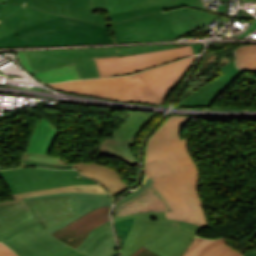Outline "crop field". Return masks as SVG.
<instances>
[{
    "instance_id": "8a807250",
    "label": "crop field",
    "mask_w": 256,
    "mask_h": 256,
    "mask_svg": "<svg viewBox=\"0 0 256 256\" xmlns=\"http://www.w3.org/2000/svg\"><path fill=\"white\" fill-rule=\"evenodd\" d=\"M189 120L190 117L170 116L152 135L144 169L173 209L165 212L167 218L210 227L199 196L200 173L188 153V139L180 136L182 126Z\"/></svg>"
},
{
    "instance_id": "ac0d7876",
    "label": "crop field",
    "mask_w": 256,
    "mask_h": 256,
    "mask_svg": "<svg viewBox=\"0 0 256 256\" xmlns=\"http://www.w3.org/2000/svg\"><path fill=\"white\" fill-rule=\"evenodd\" d=\"M107 43H115L108 25L100 26L59 16L1 38L0 48Z\"/></svg>"
},
{
    "instance_id": "34b2d1b8",
    "label": "crop field",
    "mask_w": 256,
    "mask_h": 256,
    "mask_svg": "<svg viewBox=\"0 0 256 256\" xmlns=\"http://www.w3.org/2000/svg\"><path fill=\"white\" fill-rule=\"evenodd\" d=\"M132 217L137 218L121 249L122 256H131L142 246L161 256H180L200 228L166 219L164 212L125 216L113 221Z\"/></svg>"
},
{
    "instance_id": "412701ff",
    "label": "crop field",
    "mask_w": 256,
    "mask_h": 256,
    "mask_svg": "<svg viewBox=\"0 0 256 256\" xmlns=\"http://www.w3.org/2000/svg\"><path fill=\"white\" fill-rule=\"evenodd\" d=\"M185 45L25 51L33 72L74 63L81 79L100 77L94 58L139 54Z\"/></svg>"
},
{
    "instance_id": "f4fd0767",
    "label": "crop field",
    "mask_w": 256,
    "mask_h": 256,
    "mask_svg": "<svg viewBox=\"0 0 256 256\" xmlns=\"http://www.w3.org/2000/svg\"><path fill=\"white\" fill-rule=\"evenodd\" d=\"M105 15L116 43L177 39L159 6Z\"/></svg>"
},
{
    "instance_id": "dd49c442",
    "label": "crop field",
    "mask_w": 256,
    "mask_h": 256,
    "mask_svg": "<svg viewBox=\"0 0 256 256\" xmlns=\"http://www.w3.org/2000/svg\"><path fill=\"white\" fill-rule=\"evenodd\" d=\"M50 86L58 90L118 101L147 104H160L163 101L137 74L127 77L51 84Z\"/></svg>"
},
{
    "instance_id": "e52e79f7",
    "label": "crop field",
    "mask_w": 256,
    "mask_h": 256,
    "mask_svg": "<svg viewBox=\"0 0 256 256\" xmlns=\"http://www.w3.org/2000/svg\"><path fill=\"white\" fill-rule=\"evenodd\" d=\"M12 194L81 184H98L75 170H50L42 168H21L0 171Z\"/></svg>"
},
{
    "instance_id": "d8731c3e",
    "label": "crop field",
    "mask_w": 256,
    "mask_h": 256,
    "mask_svg": "<svg viewBox=\"0 0 256 256\" xmlns=\"http://www.w3.org/2000/svg\"><path fill=\"white\" fill-rule=\"evenodd\" d=\"M192 46L157 52L95 59L101 77L128 75L193 55Z\"/></svg>"
},
{
    "instance_id": "5a996713",
    "label": "crop field",
    "mask_w": 256,
    "mask_h": 256,
    "mask_svg": "<svg viewBox=\"0 0 256 256\" xmlns=\"http://www.w3.org/2000/svg\"><path fill=\"white\" fill-rule=\"evenodd\" d=\"M1 241L18 256H45L67 246L52 237L39 222Z\"/></svg>"
},
{
    "instance_id": "3316defc",
    "label": "crop field",
    "mask_w": 256,
    "mask_h": 256,
    "mask_svg": "<svg viewBox=\"0 0 256 256\" xmlns=\"http://www.w3.org/2000/svg\"><path fill=\"white\" fill-rule=\"evenodd\" d=\"M7 3L30 6L52 14L71 17L100 25L107 24L104 13L92 14L90 0H8Z\"/></svg>"
},
{
    "instance_id": "28ad6ade",
    "label": "crop field",
    "mask_w": 256,
    "mask_h": 256,
    "mask_svg": "<svg viewBox=\"0 0 256 256\" xmlns=\"http://www.w3.org/2000/svg\"><path fill=\"white\" fill-rule=\"evenodd\" d=\"M218 70L224 74L188 95L178 107L210 106L230 83L244 72L235 67V58Z\"/></svg>"
},
{
    "instance_id": "d1516ede",
    "label": "crop field",
    "mask_w": 256,
    "mask_h": 256,
    "mask_svg": "<svg viewBox=\"0 0 256 256\" xmlns=\"http://www.w3.org/2000/svg\"><path fill=\"white\" fill-rule=\"evenodd\" d=\"M26 203L47 229L78 215L73 206L72 196L35 199Z\"/></svg>"
},
{
    "instance_id": "22f410ed",
    "label": "crop field",
    "mask_w": 256,
    "mask_h": 256,
    "mask_svg": "<svg viewBox=\"0 0 256 256\" xmlns=\"http://www.w3.org/2000/svg\"><path fill=\"white\" fill-rule=\"evenodd\" d=\"M109 207L91 211L64 228L52 233L62 242L77 248L95 227L109 220Z\"/></svg>"
},
{
    "instance_id": "cbeb9de0",
    "label": "crop field",
    "mask_w": 256,
    "mask_h": 256,
    "mask_svg": "<svg viewBox=\"0 0 256 256\" xmlns=\"http://www.w3.org/2000/svg\"><path fill=\"white\" fill-rule=\"evenodd\" d=\"M197 56L138 73V75L165 99Z\"/></svg>"
},
{
    "instance_id": "5142ce71",
    "label": "crop field",
    "mask_w": 256,
    "mask_h": 256,
    "mask_svg": "<svg viewBox=\"0 0 256 256\" xmlns=\"http://www.w3.org/2000/svg\"><path fill=\"white\" fill-rule=\"evenodd\" d=\"M30 7L7 4L0 10V38L19 28L56 17Z\"/></svg>"
},
{
    "instance_id": "d9b57169",
    "label": "crop field",
    "mask_w": 256,
    "mask_h": 256,
    "mask_svg": "<svg viewBox=\"0 0 256 256\" xmlns=\"http://www.w3.org/2000/svg\"><path fill=\"white\" fill-rule=\"evenodd\" d=\"M162 211H172V209L151 184L136 197L116 207L113 211V216L116 218L137 213Z\"/></svg>"
},
{
    "instance_id": "733c2abd",
    "label": "crop field",
    "mask_w": 256,
    "mask_h": 256,
    "mask_svg": "<svg viewBox=\"0 0 256 256\" xmlns=\"http://www.w3.org/2000/svg\"><path fill=\"white\" fill-rule=\"evenodd\" d=\"M73 166L85 176L91 177L102 183L112 194L130 187L122 180L123 178L118 173L104 166L94 163H78L73 164Z\"/></svg>"
},
{
    "instance_id": "4a817a6b",
    "label": "crop field",
    "mask_w": 256,
    "mask_h": 256,
    "mask_svg": "<svg viewBox=\"0 0 256 256\" xmlns=\"http://www.w3.org/2000/svg\"><path fill=\"white\" fill-rule=\"evenodd\" d=\"M56 135L57 127L42 117L34 130L27 152L48 154Z\"/></svg>"
},
{
    "instance_id": "bc2a9ffb",
    "label": "crop field",
    "mask_w": 256,
    "mask_h": 256,
    "mask_svg": "<svg viewBox=\"0 0 256 256\" xmlns=\"http://www.w3.org/2000/svg\"><path fill=\"white\" fill-rule=\"evenodd\" d=\"M57 195H73L74 205L79 212V214L91 207L93 210L108 205H111V196L110 194H93V193H80V192H70V193H54L46 194L31 198H26L25 200L43 198V197H52Z\"/></svg>"
},
{
    "instance_id": "214f88e0",
    "label": "crop field",
    "mask_w": 256,
    "mask_h": 256,
    "mask_svg": "<svg viewBox=\"0 0 256 256\" xmlns=\"http://www.w3.org/2000/svg\"><path fill=\"white\" fill-rule=\"evenodd\" d=\"M136 135L130 137L129 139L121 143L109 136L100 145L98 155H106L121 158L124 161L131 164L132 166L136 165L137 162L134 160L132 156V142Z\"/></svg>"
},
{
    "instance_id": "92a150f3",
    "label": "crop field",
    "mask_w": 256,
    "mask_h": 256,
    "mask_svg": "<svg viewBox=\"0 0 256 256\" xmlns=\"http://www.w3.org/2000/svg\"><path fill=\"white\" fill-rule=\"evenodd\" d=\"M18 53H19L21 64L30 72H32L25 52L18 51ZM34 75H36L43 82H46V83L80 79L73 64L48 70V71H44V72H40V73H36Z\"/></svg>"
},
{
    "instance_id": "dafd665d",
    "label": "crop field",
    "mask_w": 256,
    "mask_h": 256,
    "mask_svg": "<svg viewBox=\"0 0 256 256\" xmlns=\"http://www.w3.org/2000/svg\"><path fill=\"white\" fill-rule=\"evenodd\" d=\"M177 38L182 35L200 29V26L194 20L189 11L184 8L174 9L164 12ZM197 27V28H195Z\"/></svg>"
},
{
    "instance_id": "00972430",
    "label": "crop field",
    "mask_w": 256,
    "mask_h": 256,
    "mask_svg": "<svg viewBox=\"0 0 256 256\" xmlns=\"http://www.w3.org/2000/svg\"><path fill=\"white\" fill-rule=\"evenodd\" d=\"M126 115L128 118L124 126L110 135L120 142L138 133L152 116L151 114L138 112H127Z\"/></svg>"
},
{
    "instance_id": "a9b5d70f",
    "label": "crop field",
    "mask_w": 256,
    "mask_h": 256,
    "mask_svg": "<svg viewBox=\"0 0 256 256\" xmlns=\"http://www.w3.org/2000/svg\"><path fill=\"white\" fill-rule=\"evenodd\" d=\"M35 222H38V220L29 207L16 213L0 223V240L8 236L10 233Z\"/></svg>"
},
{
    "instance_id": "4177f3b9",
    "label": "crop field",
    "mask_w": 256,
    "mask_h": 256,
    "mask_svg": "<svg viewBox=\"0 0 256 256\" xmlns=\"http://www.w3.org/2000/svg\"><path fill=\"white\" fill-rule=\"evenodd\" d=\"M194 256H242L229 247L224 238L218 240L205 239Z\"/></svg>"
},
{
    "instance_id": "730fd06b",
    "label": "crop field",
    "mask_w": 256,
    "mask_h": 256,
    "mask_svg": "<svg viewBox=\"0 0 256 256\" xmlns=\"http://www.w3.org/2000/svg\"><path fill=\"white\" fill-rule=\"evenodd\" d=\"M69 191H81V192H93V193H108L102 185H81V186H64L22 194L12 195L13 199L26 198L46 193L53 192H69Z\"/></svg>"
},
{
    "instance_id": "eef30255",
    "label": "crop field",
    "mask_w": 256,
    "mask_h": 256,
    "mask_svg": "<svg viewBox=\"0 0 256 256\" xmlns=\"http://www.w3.org/2000/svg\"><path fill=\"white\" fill-rule=\"evenodd\" d=\"M112 235L111 224L110 222H107L95 228L89 237L77 249L89 254L101 242Z\"/></svg>"
},
{
    "instance_id": "ae1a2a85",
    "label": "crop field",
    "mask_w": 256,
    "mask_h": 256,
    "mask_svg": "<svg viewBox=\"0 0 256 256\" xmlns=\"http://www.w3.org/2000/svg\"><path fill=\"white\" fill-rule=\"evenodd\" d=\"M236 54L238 68L256 70V45L241 46Z\"/></svg>"
},
{
    "instance_id": "d3111659",
    "label": "crop field",
    "mask_w": 256,
    "mask_h": 256,
    "mask_svg": "<svg viewBox=\"0 0 256 256\" xmlns=\"http://www.w3.org/2000/svg\"><path fill=\"white\" fill-rule=\"evenodd\" d=\"M27 207L23 199L0 202V221Z\"/></svg>"
},
{
    "instance_id": "750c4746",
    "label": "crop field",
    "mask_w": 256,
    "mask_h": 256,
    "mask_svg": "<svg viewBox=\"0 0 256 256\" xmlns=\"http://www.w3.org/2000/svg\"><path fill=\"white\" fill-rule=\"evenodd\" d=\"M108 12H120L138 9L136 0H106Z\"/></svg>"
},
{
    "instance_id": "bd1437ed",
    "label": "crop field",
    "mask_w": 256,
    "mask_h": 256,
    "mask_svg": "<svg viewBox=\"0 0 256 256\" xmlns=\"http://www.w3.org/2000/svg\"><path fill=\"white\" fill-rule=\"evenodd\" d=\"M117 253V248L114 242V238L111 237L101 243L95 250L89 255L91 256H114Z\"/></svg>"
},
{
    "instance_id": "1d83c4d3",
    "label": "crop field",
    "mask_w": 256,
    "mask_h": 256,
    "mask_svg": "<svg viewBox=\"0 0 256 256\" xmlns=\"http://www.w3.org/2000/svg\"><path fill=\"white\" fill-rule=\"evenodd\" d=\"M134 220H135V218H132V219L113 223L116 238H117V241H118L120 247H122V244L129 232Z\"/></svg>"
},
{
    "instance_id": "120bbe31",
    "label": "crop field",
    "mask_w": 256,
    "mask_h": 256,
    "mask_svg": "<svg viewBox=\"0 0 256 256\" xmlns=\"http://www.w3.org/2000/svg\"><path fill=\"white\" fill-rule=\"evenodd\" d=\"M22 159L52 163V164L69 165L59 157H52V156H47L42 154L24 153Z\"/></svg>"
},
{
    "instance_id": "d32e631a",
    "label": "crop field",
    "mask_w": 256,
    "mask_h": 256,
    "mask_svg": "<svg viewBox=\"0 0 256 256\" xmlns=\"http://www.w3.org/2000/svg\"><path fill=\"white\" fill-rule=\"evenodd\" d=\"M173 1H174V4L161 6L162 10L166 11V10H170L178 7L188 6V7L198 8L206 11L201 0H173Z\"/></svg>"
},
{
    "instance_id": "5866460e",
    "label": "crop field",
    "mask_w": 256,
    "mask_h": 256,
    "mask_svg": "<svg viewBox=\"0 0 256 256\" xmlns=\"http://www.w3.org/2000/svg\"><path fill=\"white\" fill-rule=\"evenodd\" d=\"M187 9L193 15V17L198 22V24L201 26V28L206 26L212 20H214L217 17H219L218 15H214V14H211V13H208V12H204V11H201V10L192 9V8H188V7H187Z\"/></svg>"
},
{
    "instance_id": "028f5c9d",
    "label": "crop field",
    "mask_w": 256,
    "mask_h": 256,
    "mask_svg": "<svg viewBox=\"0 0 256 256\" xmlns=\"http://www.w3.org/2000/svg\"><path fill=\"white\" fill-rule=\"evenodd\" d=\"M137 1H138L139 9L173 3L172 0H137Z\"/></svg>"
},
{
    "instance_id": "e1f06a70",
    "label": "crop field",
    "mask_w": 256,
    "mask_h": 256,
    "mask_svg": "<svg viewBox=\"0 0 256 256\" xmlns=\"http://www.w3.org/2000/svg\"><path fill=\"white\" fill-rule=\"evenodd\" d=\"M48 256H87L81 252L76 251L75 249L67 246L51 255Z\"/></svg>"
},
{
    "instance_id": "0bd39190",
    "label": "crop field",
    "mask_w": 256,
    "mask_h": 256,
    "mask_svg": "<svg viewBox=\"0 0 256 256\" xmlns=\"http://www.w3.org/2000/svg\"><path fill=\"white\" fill-rule=\"evenodd\" d=\"M21 162L27 163L26 166L46 167V168H56V169H73L71 166L44 164V163H38V162H33V161H27V160H22Z\"/></svg>"
},
{
    "instance_id": "b80d0937",
    "label": "crop field",
    "mask_w": 256,
    "mask_h": 256,
    "mask_svg": "<svg viewBox=\"0 0 256 256\" xmlns=\"http://www.w3.org/2000/svg\"><path fill=\"white\" fill-rule=\"evenodd\" d=\"M204 239L195 238L183 256H192Z\"/></svg>"
},
{
    "instance_id": "c035e120",
    "label": "crop field",
    "mask_w": 256,
    "mask_h": 256,
    "mask_svg": "<svg viewBox=\"0 0 256 256\" xmlns=\"http://www.w3.org/2000/svg\"><path fill=\"white\" fill-rule=\"evenodd\" d=\"M152 182H153L152 179H147L146 182L143 184V187L141 189H138L137 191H135V192L131 193L130 195H128L125 199H123L119 203H117L116 206H118L119 204L123 203L124 201L130 199L131 197L137 195L138 193H140L142 190H144Z\"/></svg>"
},
{
    "instance_id": "c21b1889",
    "label": "crop field",
    "mask_w": 256,
    "mask_h": 256,
    "mask_svg": "<svg viewBox=\"0 0 256 256\" xmlns=\"http://www.w3.org/2000/svg\"><path fill=\"white\" fill-rule=\"evenodd\" d=\"M90 210H91V209L89 208L88 210H86L85 212L81 213L80 215H78V216H76V217H73V218H71V219H69V220H67V221H65V222H63V223H61V224H59V225H57V226H55V227L49 229L50 233L53 232V231H55V230H57V229H59V228H61V227H63V226H65V225H67V224H69L70 222H72L73 220H75V219H77L78 217L82 216L83 214L89 212Z\"/></svg>"
},
{
    "instance_id": "03da06ac",
    "label": "crop field",
    "mask_w": 256,
    "mask_h": 256,
    "mask_svg": "<svg viewBox=\"0 0 256 256\" xmlns=\"http://www.w3.org/2000/svg\"><path fill=\"white\" fill-rule=\"evenodd\" d=\"M132 256H159V255L142 247L137 252H135Z\"/></svg>"
},
{
    "instance_id": "b54c1fbb",
    "label": "crop field",
    "mask_w": 256,
    "mask_h": 256,
    "mask_svg": "<svg viewBox=\"0 0 256 256\" xmlns=\"http://www.w3.org/2000/svg\"><path fill=\"white\" fill-rule=\"evenodd\" d=\"M0 256H17L14 254L11 249L4 246L2 243H0Z\"/></svg>"
},
{
    "instance_id": "5d738f31",
    "label": "crop field",
    "mask_w": 256,
    "mask_h": 256,
    "mask_svg": "<svg viewBox=\"0 0 256 256\" xmlns=\"http://www.w3.org/2000/svg\"><path fill=\"white\" fill-rule=\"evenodd\" d=\"M93 9L103 8L104 12H107L105 0H91Z\"/></svg>"
},
{
    "instance_id": "d23c7cc5",
    "label": "crop field",
    "mask_w": 256,
    "mask_h": 256,
    "mask_svg": "<svg viewBox=\"0 0 256 256\" xmlns=\"http://www.w3.org/2000/svg\"><path fill=\"white\" fill-rule=\"evenodd\" d=\"M194 49V53H200L203 45H192Z\"/></svg>"
},
{
    "instance_id": "425ffa30",
    "label": "crop field",
    "mask_w": 256,
    "mask_h": 256,
    "mask_svg": "<svg viewBox=\"0 0 256 256\" xmlns=\"http://www.w3.org/2000/svg\"><path fill=\"white\" fill-rule=\"evenodd\" d=\"M243 256H256V252L245 253Z\"/></svg>"
},
{
    "instance_id": "25e5ab78",
    "label": "crop field",
    "mask_w": 256,
    "mask_h": 256,
    "mask_svg": "<svg viewBox=\"0 0 256 256\" xmlns=\"http://www.w3.org/2000/svg\"><path fill=\"white\" fill-rule=\"evenodd\" d=\"M7 0H0V3H6Z\"/></svg>"
},
{
    "instance_id": "73cf0c24",
    "label": "crop field",
    "mask_w": 256,
    "mask_h": 256,
    "mask_svg": "<svg viewBox=\"0 0 256 256\" xmlns=\"http://www.w3.org/2000/svg\"><path fill=\"white\" fill-rule=\"evenodd\" d=\"M5 6V4H0V9L2 8V7H4Z\"/></svg>"
},
{
    "instance_id": "89e229c0",
    "label": "crop field",
    "mask_w": 256,
    "mask_h": 256,
    "mask_svg": "<svg viewBox=\"0 0 256 256\" xmlns=\"http://www.w3.org/2000/svg\"><path fill=\"white\" fill-rule=\"evenodd\" d=\"M25 165H26V164L21 163L19 167H23V166H25Z\"/></svg>"
},
{
    "instance_id": "1f2cbd36",
    "label": "crop field",
    "mask_w": 256,
    "mask_h": 256,
    "mask_svg": "<svg viewBox=\"0 0 256 256\" xmlns=\"http://www.w3.org/2000/svg\"><path fill=\"white\" fill-rule=\"evenodd\" d=\"M248 71H252V70H248ZM254 72H256V71H254Z\"/></svg>"
},
{
    "instance_id": "dbb93151",
    "label": "crop field",
    "mask_w": 256,
    "mask_h": 256,
    "mask_svg": "<svg viewBox=\"0 0 256 256\" xmlns=\"http://www.w3.org/2000/svg\"><path fill=\"white\" fill-rule=\"evenodd\" d=\"M0 170H1V167H0Z\"/></svg>"
},
{
    "instance_id": "0fb4a251",
    "label": "crop field",
    "mask_w": 256,
    "mask_h": 256,
    "mask_svg": "<svg viewBox=\"0 0 256 256\" xmlns=\"http://www.w3.org/2000/svg\"><path fill=\"white\" fill-rule=\"evenodd\" d=\"M1 22V21H0Z\"/></svg>"
}]
</instances>
